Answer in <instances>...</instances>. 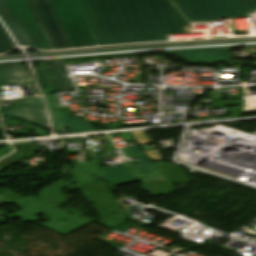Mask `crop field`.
<instances>
[{
	"instance_id": "20",
	"label": "crop field",
	"mask_w": 256,
	"mask_h": 256,
	"mask_svg": "<svg viewBox=\"0 0 256 256\" xmlns=\"http://www.w3.org/2000/svg\"><path fill=\"white\" fill-rule=\"evenodd\" d=\"M14 47L16 46L13 44L9 34L0 23V54L7 52Z\"/></svg>"
},
{
	"instance_id": "24",
	"label": "crop field",
	"mask_w": 256,
	"mask_h": 256,
	"mask_svg": "<svg viewBox=\"0 0 256 256\" xmlns=\"http://www.w3.org/2000/svg\"><path fill=\"white\" fill-rule=\"evenodd\" d=\"M34 134H35V136H38V135H45V134H48V133H47V131H43V130H40V129L35 127Z\"/></svg>"
},
{
	"instance_id": "13",
	"label": "crop field",
	"mask_w": 256,
	"mask_h": 256,
	"mask_svg": "<svg viewBox=\"0 0 256 256\" xmlns=\"http://www.w3.org/2000/svg\"><path fill=\"white\" fill-rule=\"evenodd\" d=\"M157 6L160 11L168 35L188 33L187 31H183L181 28L184 25H189V23L178 12V10L173 6L172 3L160 4Z\"/></svg>"
},
{
	"instance_id": "19",
	"label": "crop field",
	"mask_w": 256,
	"mask_h": 256,
	"mask_svg": "<svg viewBox=\"0 0 256 256\" xmlns=\"http://www.w3.org/2000/svg\"><path fill=\"white\" fill-rule=\"evenodd\" d=\"M225 105H239L236 108H229L232 116L228 117H220L216 119H222V118H234V117H240L242 116V109H243V100L238 101H217L212 104L213 107H220Z\"/></svg>"
},
{
	"instance_id": "21",
	"label": "crop field",
	"mask_w": 256,
	"mask_h": 256,
	"mask_svg": "<svg viewBox=\"0 0 256 256\" xmlns=\"http://www.w3.org/2000/svg\"><path fill=\"white\" fill-rule=\"evenodd\" d=\"M244 9L246 12L247 18H249L248 13H254V9L256 8V0H242Z\"/></svg>"
},
{
	"instance_id": "27",
	"label": "crop field",
	"mask_w": 256,
	"mask_h": 256,
	"mask_svg": "<svg viewBox=\"0 0 256 256\" xmlns=\"http://www.w3.org/2000/svg\"><path fill=\"white\" fill-rule=\"evenodd\" d=\"M2 130V128H1V124H0V131Z\"/></svg>"
},
{
	"instance_id": "9",
	"label": "crop field",
	"mask_w": 256,
	"mask_h": 256,
	"mask_svg": "<svg viewBox=\"0 0 256 256\" xmlns=\"http://www.w3.org/2000/svg\"><path fill=\"white\" fill-rule=\"evenodd\" d=\"M28 105L12 109H0L2 117L19 118L42 129H49L47 116L40 98H24Z\"/></svg>"
},
{
	"instance_id": "8",
	"label": "crop field",
	"mask_w": 256,
	"mask_h": 256,
	"mask_svg": "<svg viewBox=\"0 0 256 256\" xmlns=\"http://www.w3.org/2000/svg\"><path fill=\"white\" fill-rule=\"evenodd\" d=\"M47 62L51 68L39 70L37 74L43 93L46 95L58 91L75 90L63 61ZM43 87H46L47 90L43 89Z\"/></svg>"
},
{
	"instance_id": "7",
	"label": "crop field",
	"mask_w": 256,
	"mask_h": 256,
	"mask_svg": "<svg viewBox=\"0 0 256 256\" xmlns=\"http://www.w3.org/2000/svg\"><path fill=\"white\" fill-rule=\"evenodd\" d=\"M14 204L22 209L20 211L12 213L15 217H19L24 221H37L35 214L44 213L45 219L50 218L52 220L47 223H42L40 225L48 227L60 234L66 235L74 230L83 227L56 214L50 213L48 211L49 208H47L45 205H43L32 196H28Z\"/></svg>"
},
{
	"instance_id": "26",
	"label": "crop field",
	"mask_w": 256,
	"mask_h": 256,
	"mask_svg": "<svg viewBox=\"0 0 256 256\" xmlns=\"http://www.w3.org/2000/svg\"><path fill=\"white\" fill-rule=\"evenodd\" d=\"M45 63H46V62H41L38 69L49 68V66H48L47 63H46V65H47L48 67L45 66ZM36 70H37V69H36ZM36 70H35V72H36Z\"/></svg>"
},
{
	"instance_id": "12",
	"label": "crop field",
	"mask_w": 256,
	"mask_h": 256,
	"mask_svg": "<svg viewBox=\"0 0 256 256\" xmlns=\"http://www.w3.org/2000/svg\"><path fill=\"white\" fill-rule=\"evenodd\" d=\"M226 49H229V47L174 50L167 52L170 54H179L183 58L192 61H228L226 57Z\"/></svg>"
},
{
	"instance_id": "25",
	"label": "crop field",
	"mask_w": 256,
	"mask_h": 256,
	"mask_svg": "<svg viewBox=\"0 0 256 256\" xmlns=\"http://www.w3.org/2000/svg\"><path fill=\"white\" fill-rule=\"evenodd\" d=\"M5 121H6V123H23V122H20V121H18V120H12V119H5ZM26 124V123H25ZM28 125V124H27ZM29 127H30V129H34V127L33 126H30L29 125Z\"/></svg>"
},
{
	"instance_id": "18",
	"label": "crop field",
	"mask_w": 256,
	"mask_h": 256,
	"mask_svg": "<svg viewBox=\"0 0 256 256\" xmlns=\"http://www.w3.org/2000/svg\"><path fill=\"white\" fill-rule=\"evenodd\" d=\"M63 114L71 133L94 130L91 124L84 122L80 118H71L70 114L66 112Z\"/></svg>"
},
{
	"instance_id": "1",
	"label": "crop field",
	"mask_w": 256,
	"mask_h": 256,
	"mask_svg": "<svg viewBox=\"0 0 256 256\" xmlns=\"http://www.w3.org/2000/svg\"><path fill=\"white\" fill-rule=\"evenodd\" d=\"M99 46L167 41L156 4L169 0H80ZM190 22L246 17L241 0H172Z\"/></svg>"
},
{
	"instance_id": "11",
	"label": "crop field",
	"mask_w": 256,
	"mask_h": 256,
	"mask_svg": "<svg viewBox=\"0 0 256 256\" xmlns=\"http://www.w3.org/2000/svg\"><path fill=\"white\" fill-rule=\"evenodd\" d=\"M0 17L3 19L19 45L32 46L37 48L17 18L12 13L6 0H0Z\"/></svg>"
},
{
	"instance_id": "5",
	"label": "crop field",
	"mask_w": 256,
	"mask_h": 256,
	"mask_svg": "<svg viewBox=\"0 0 256 256\" xmlns=\"http://www.w3.org/2000/svg\"><path fill=\"white\" fill-rule=\"evenodd\" d=\"M51 49L73 48L52 0H26Z\"/></svg>"
},
{
	"instance_id": "23",
	"label": "crop field",
	"mask_w": 256,
	"mask_h": 256,
	"mask_svg": "<svg viewBox=\"0 0 256 256\" xmlns=\"http://www.w3.org/2000/svg\"><path fill=\"white\" fill-rule=\"evenodd\" d=\"M12 150H13L12 147L4 148V149L0 150V157L5 155V154H7V153H9V152H11Z\"/></svg>"
},
{
	"instance_id": "15",
	"label": "crop field",
	"mask_w": 256,
	"mask_h": 256,
	"mask_svg": "<svg viewBox=\"0 0 256 256\" xmlns=\"http://www.w3.org/2000/svg\"><path fill=\"white\" fill-rule=\"evenodd\" d=\"M30 75L23 65L0 66V83L21 82L29 83Z\"/></svg>"
},
{
	"instance_id": "6",
	"label": "crop field",
	"mask_w": 256,
	"mask_h": 256,
	"mask_svg": "<svg viewBox=\"0 0 256 256\" xmlns=\"http://www.w3.org/2000/svg\"><path fill=\"white\" fill-rule=\"evenodd\" d=\"M79 191L89 203H95L92 206L101 219L96 223L113 228L126 221L122 208L117 206L106 183L97 180L80 188Z\"/></svg>"
},
{
	"instance_id": "14",
	"label": "crop field",
	"mask_w": 256,
	"mask_h": 256,
	"mask_svg": "<svg viewBox=\"0 0 256 256\" xmlns=\"http://www.w3.org/2000/svg\"><path fill=\"white\" fill-rule=\"evenodd\" d=\"M117 168L108 167L100 169L99 176L102 177V180L108 182L111 185V190L114 191L115 186L137 181L136 174L131 171L128 166L124 164L116 165ZM106 172V173H103Z\"/></svg>"
},
{
	"instance_id": "17",
	"label": "crop field",
	"mask_w": 256,
	"mask_h": 256,
	"mask_svg": "<svg viewBox=\"0 0 256 256\" xmlns=\"http://www.w3.org/2000/svg\"><path fill=\"white\" fill-rule=\"evenodd\" d=\"M46 100H47L48 106L50 108L58 110V111L49 110V112H50V115H51V118L53 121L55 131L60 133V129H64V128H68V127L63 118L62 112H59V110H61L59 101H58L56 95H48V96H46Z\"/></svg>"
},
{
	"instance_id": "22",
	"label": "crop field",
	"mask_w": 256,
	"mask_h": 256,
	"mask_svg": "<svg viewBox=\"0 0 256 256\" xmlns=\"http://www.w3.org/2000/svg\"><path fill=\"white\" fill-rule=\"evenodd\" d=\"M246 88H240V96H218L216 100L222 99V97H228V99H233V98H243V92Z\"/></svg>"
},
{
	"instance_id": "16",
	"label": "crop field",
	"mask_w": 256,
	"mask_h": 256,
	"mask_svg": "<svg viewBox=\"0 0 256 256\" xmlns=\"http://www.w3.org/2000/svg\"><path fill=\"white\" fill-rule=\"evenodd\" d=\"M15 147L19 148L21 153L8 157L2 161H0V172L9 168L10 166L26 159L27 157L35 154L36 152L42 150V148L38 147L36 142L32 143H24V144H16Z\"/></svg>"
},
{
	"instance_id": "3",
	"label": "crop field",
	"mask_w": 256,
	"mask_h": 256,
	"mask_svg": "<svg viewBox=\"0 0 256 256\" xmlns=\"http://www.w3.org/2000/svg\"><path fill=\"white\" fill-rule=\"evenodd\" d=\"M122 151L127 158L140 159V161L130 162V165L139 174L146 190L152 196L167 194L175 189L172 182L185 183L190 180L178 166L166 162L151 163L138 147Z\"/></svg>"
},
{
	"instance_id": "2",
	"label": "crop field",
	"mask_w": 256,
	"mask_h": 256,
	"mask_svg": "<svg viewBox=\"0 0 256 256\" xmlns=\"http://www.w3.org/2000/svg\"><path fill=\"white\" fill-rule=\"evenodd\" d=\"M99 163L100 159L94 160L88 163H81L73 165L74 168L71 169L66 165L65 169L70 171V175H72V179L70 181L77 182V184H74L69 187L71 183L60 180L49 187L43 189L39 192V198H37L39 201H41L43 204H45L47 207L51 208L50 212L56 213L58 215H61L65 218H68L78 224L81 225H87L92 220L82 216L80 212L71 209L64 211L58 207H60V204L65 203L63 195H61L60 191L63 188H68L67 191H65V194L68 192H71L75 190L76 188H80L88 183H91L95 180H97L98 172H99ZM69 212H72L73 215H70Z\"/></svg>"
},
{
	"instance_id": "10",
	"label": "crop field",
	"mask_w": 256,
	"mask_h": 256,
	"mask_svg": "<svg viewBox=\"0 0 256 256\" xmlns=\"http://www.w3.org/2000/svg\"><path fill=\"white\" fill-rule=\"evenodd\" d=\"M13 13L18 18L38 49L51 50L39 25H36L25 0H7Z\"/></svg>"
},
{
	"instance_id": "4",
	"label": "crop field",
	"mask_w": 256,
	"mask_h": 256,
	"mask_svg": "<svg viewBox=\"0 0 256 256\" xmlns=\"http://www.w3.org/2000/svg\"><path fill=\"white\" fill-rule=\"evenodd\" d=\"M74 48L98 46L79 0H53Z\"/></svg>"
}]
</instances>
